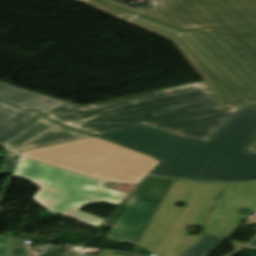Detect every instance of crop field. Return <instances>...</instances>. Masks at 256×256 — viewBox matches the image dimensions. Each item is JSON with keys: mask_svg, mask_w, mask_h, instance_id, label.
<instances>
[{"mask_svg": "<svg viewBox=\"0 0 256 256\" xmlns=\"http://www.w3.org/2000/svg\"><path fill=\"white\" fill-rule=\"evenodd\" d=\"M178 29L213 27L256 69V0H157L139 10L115 0H101Z\"/></svg>", "mask_w": 256, "mask_h": 256, "instance_id": "crop-field-4", "label": "crop field"}, {"mask_svg": "<svg viewBox=\"0 0 256 256\" xmlns=\"http://www.w3.org/2000/svg\"><path fill=\"white\" fill-rule=\"evenodd\" d=\"M162 163L152 175L202 182L256 180V103L241 106L207 141L183 138L142 126L98 136Z\"/></svg>", "mask_w": 256, "mask_h": 256, "instance_id": "crop-field-2", "label": "crop field"}, {"mask_svg": "<svg viewBox=\"0 0 256 256\" xmlns=\"http://www.w3.org/2000/svg\"><path fill=\"white\" fill-rule=\"evenodd\" d=\"M172 182L147 176L103 221L113 226L107 239L137 245Z\"/></svg>", "mask_w": 256, "mask_h": 256, "instance_id": "crop-field-8", "label": "crop field"}, {"mask_svg": "<svg viewBox=\"0 0 256 256\" xmlns=\"http://www.w3.org/2000/svg\"><path fill=\"white\" fill-rule=\"evenodd\" d=\"M225 238L204 234L203 238L182 256H206Z\"/></svg>", "mask_w": 256, "mask_h": 256, "instance_id": "crop-field-13", "label": "crop field"}, {"mask_svg": "<svg viewBox=\"0 0 256 256\" xmlns=\"http://www.w3.org/2000/svg\"><path fill=\"white\" fill-rule=\"evenodd\" d=\"M0 100L21 109H33L44 113L63 103L4 84H0Z\"/></svg>", "mask_w": 256, "mask_h": 256, "instance_id": "crop-field-11", "label": "crop field"}, {"mask_svg": "<svg viewBox=\"0 0 256 256\" xmlns=\"http://www.w3.org/2000/svg\"><path fill=\"white\" fill-rule=\"evenodd\" d=\"M82 256H86V255H82ZM98 256H120V255H114L112 252L110 251H105L103 250Z\"/></svg>", "mask_w": 256, "mask_h": 256, "instance_id": "crop-field-19", "label": "crop field"}, {"mask_svg": "<svg viewBox=\"0 0 256 256\" xmlns=\"http://www.w3.org/2000/svg\"><path fill=\"white\" fill-rule=\"evenodd\" d=\"M123 21L171 41L224 108L256 102V71L214 29L181 31L135 14Z\"/></svg>", "mask_w": 256, "mask_h": 256, "instance_id": "crop-field-3", "label": "crop field"}, {"mask_svg": "<svg viewBox=\"0 0 256 256\" xmlns=\"http://www.w3.org/2000/svg\"><path fill=\"white\" fill-rule=\"evenodd\" d=\"M249 147L254 148L252 152L256 153V139L249 145Z\"/></svg>", "mask_w": 256, "mask_h": 256, "instance_id": "crop-field-21", "label": "crop field"}, {"mask_svg": "<svg viewBox=\"0 0 256 256\" xmlns=\"http://www.w3.org/2000/svg\"><path fill=\"white\" fill-rule=\"evenodd\" d=\"M43 116L41 113L18 111L0 102V142Z\"/></svg>", "mask_w": 256, "mask_h": 256, "instance_id": "crop-field-12", "label": "crop field"}, {"mask_svg": "<svg viewBox=\"0 0 256 256\" xmlns=\"http://www.w3.org/2000/svg\"><path fill=\"white\" fill-rule=\"evenodd\" d=\"M224 185L174 180L137 246L156 256H178L199 238L183 236L187 227H203ZM176 202L186 204L174 207Z\"/></svg>", "mask_w": 256, "mask_h": 256, "instance_id": "crop-field-6", "label": "crop field"}, {"mask_svg": "<svg viewBox=\"0 0 256 256\" xmlns=\"http://www.w3.org/2000/svg\"><path fill=\"white\" fill-rule=\"evenodd\" d=\"M239 107L224 109L207 84L198 82L83 107L64 102L46 115L95 136L148 125L207 141Z\"/></svg>", "mask_w": 256, "mask_h": 256, "instance_id": "crop-field-1", "label": "crop field"}, {"mask_svg": "<svg viewBox=\"0 0 256 256\" xmlns=\"http://www.w3.org/2000/svg\"><path fill=\"white\" fill-rule=\"evenodd\" d=\"M256 210V183L226 184L206 224L205 233L228 237L243 221L241 208Z\"/></svg>", "mask_w": 256, "mask_h": 256, "instance_id": "crop-field-9", "label": "crop field"}, {"mask_svg": "<svg viewBox=\"0 0 256 256\" xmlns=\"http://www.w3.org/2000/svg\"><path fill=\"white\" fill-rule=\"evenodd\" d=\"M14 176L41 187L33 199L48 211L95 226L103 219L80 212V208L89 202L108 201L119 205L128 195L102 186V181L25 158L20 159Z\"/></svg>", "mask_w": 256, "mask_h": 256, "instance_id": "crop-field-7", "label": "crop field"}, {"mask_svg": "<svg viewBox=\"0 0 256 256\" xmlns=\"http://www.w3.org/2000/svg\"><path fill=\"white\" fill-rule=\"evenodd\" d=\"M18 156L12 153H6L0 165V174L11 173L13 170Z\"/></svg>", "mask_w": 256, "mask_h": 256, "instance_id": "crop-field-16", "label": "crop field"}, {"mask_svg": "<svg viewBox=\"0 0 256 256\" xmlns=\"http://www.w3.org/2000/svg\"><path fill=\"white\" fill-rule=\"evenodd\" d=\"M246 248H248V249H256V238H255V240H254L248 247H246Z\"/></svg>", "mask_w": 256, "mask_h": 256, "instance_id": "crop-field-20", "label": "crop field"}, {"mask_svg": "<svg viewBox=\"0 0 256 256\" xmlns=\"http://www.w3.org/2000/svg\"><path fill=\"white\" fill-rule=\"evenodd\" d=\"M79 250H80V248H74L70 251H68L64 248H58L56 250H53V251L46 253L44 255H41V256H79L82 254V252Z\"/></svg>", "mask_w": 256, "mask_h": 256, "instance_id": "crop-field-17", "label": "crop field"}, {"mask_svg": "<svg viewBox=\"0 0 256 256\" xmlns=\"http://www.w3.org/2000/svg\"><path fill=\"white\" fill-rule=\"evenodd\" d=\"M84 4H87L93 8H96L102 12H105L111 16H114L120 20L124 19L125 17L129 16L132 13H129L127 11L118 9L116 7L110 6L108 4H105L103 2L97 1V0H78Z\"/></svg>", "mask_w": 256, "mask_h": 256, "instance_id": "crop-field-14", "label": "crop field"}, {"mask_svg": "<svg viewBox=\"0 0 256 256\" xmlns=\"http://www.w3.org/2000/svg\"><path fill=\"white\" fill-rule=\"evenodd\" d=\"M92 137L82 133L69 131L55 123L45 120L44 116L9 137L0 145L17 154L20 151L37 147Z\"/></svg>", "mask_w": 256, "mask_h": 256, "instance_id": "crop-field-10", "label": "crop field"}, {"mask_svg": "<svg viewBox=\"0 0 256 256\" xmlns=\"http://www.w3.org/2000/svg\"><path fill=\"white\" fill-rule=\"evenodd\" d=\"M20 156L106 181L137 183L159 161L96 137L23 151Z\"/></svg>", "mask_w": 256, "mask_h": 256, "instance_id": "crop-field-5", "label": "crop field"}, {"mask_svg": "<svg viewBox=\"0 0 256 256\" xmlns=\"http://www.w3.org/2000/svg\"><path fill=\"white\" fill-rule=\"evenodd\" d=\"M11 247V238L0 236V256H8Z\"/></svg>", "mask_w": 256, "mask_h": 256, "instance_id": "crop-field-18", "label": "crop field"}, {"mask_svg": "<svg viewBox=\"0 0 256 256\" xmlns=\"http://www.w3.org/2000/svg\"><path fill=\"white\" fill-rule=\"evenodd\" d=\"M14 239V248L11 252V256H35L31 253L30 248L28 245L23 242L22 239L13 238Z\"/></svg>", "mask_w": 256, "mask_h": 256, "instance_id": "crop-field-15", "label": "crop field"}]
</instances>
